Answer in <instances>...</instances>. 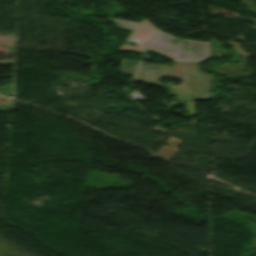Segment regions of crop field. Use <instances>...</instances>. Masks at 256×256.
Instances as JSON below:
<instances>
[{
	"label": "crop field",
	"instance_id": "7",
	"mask_svg": "<svg viewBox=\"0 0 256 256\" xmlns=\"http://www.w3.org/2000/svg\"><path fill=\"white\" fill-rule=\"evenodd\" d=\"M144 45H138L137 48H133L129 45H123L122 48L119 51H124V52H140L142 47Z\"/></svg>",
	"mask_w": 256,
	"mask_h": 256
},
{
	"label": "crop field",
	"instance_id": "4",
	"mask_svg": "<svg viewBox=\"0 0 256 256\" xmlns=\"http://www.w3.org/2000/svg\"><path fill=\"white\" fill-rule=\"evenodd\" d=\"M181 142L182 141L177 138H170L167 142V144H170L169 147L163 146L156 156L165 160L171 159L179 151L176 148Z\"/></svg>",
	"mask_w": 256,
	"mask_h": 256
},
{
	"label": "crop field",
	"instance_id": "6",
	"mask_svg": "<svg viewBox=\"0 0 256 256\" xmlns=\"http://www.w3.org/2000/svg\"><path fill=\"white\" fill-rule=\"evenodd\" d=\"M112 22L119 29L128 30V31H134L136 29V27L139 25L138 23L124 21V20L115 19V18H112Z\"/></svg>",
	"mask_w": 256,
	"mask_h": 256
},
{
	"label": "crop field",
	"instance_id": "8",
	"mask_svg": "<svg viewBox=\"0 0 256 256\" xmlns=\"http://www.w3.org/2000/svg\"><path fill=\"white\" fill-rule=\"evenodd\" d=\"M188 115H194V101H188Z\"/></svg>",
	"mask_w": 256,
	"mask_h": 256
},
{
	"label": "crop field",
	"instance_id": "1",
	"mask_svg": "<svg viewBox=\"0 0 256 256\" xmlns=\"http://www.w3.org/2000/svg\"><path fill=\"white\" fill-rule=\"evenodd\" d=\"M167 76L182 82V86L159 83L158 79ZM138 81L170 87V94L178 100L209 99V75L198 71V64L175 62L174 66L142 64Z\"/></svg>",
	"mask_w": 256,
	"mask_h": 256
},
{
	"label": "crop field",
	"instance_id": "9",
	"mask_svg": "<svg viewBox=\"0 0 256 256\" xmlns=\"http://www.w3.org/2000/svg\"><path fill=\"white\" fill-rule=\"evenodd\" d=\"M152 130H154V131H156V132H162V133H167V132H168V131H165V130H163V129H161V128H157V127H153Z\"/></svg>",
	"mask_w": 256,
	"mask_h": 256
},
{
	"label": "crop field",
	"instance_id": "2",
	"mask_svg": "<svg viewBox=\"0 0 256 256\" xmlns=\"http://www.w3.org/2000/svg\"><path fill=\"white\" fill-rule=\"evenodd\" d=\"M147 50L158 52L174 61L201 62L210 59L209 43L179 39L161 31Z\"/></svg>",
	"mask_w": 256,
	"mask_h": 256
},
{
	"label": "crop field",
	"instance_id": "5",
	"mask_svg": "<svg viewBox=\"0 0 256 256\" xmlns=\"http://www.w3.org/2000/svg\"><path fill=\"white\" fill-rule=\"evenodd\" d=\"M138 63L139 62L137 61H131V60H125V59H122L121 61L120 71L123 74L133 76L131 82H133Z\"/></svg>",
	"mask_w": 256,
	"mask_h": 256
},
{
	"label": "crop field",
	"instance_id": "3",
	"mask_svg": "<svg viewBox=\"0 0 256 256\" xmlns=\"http://www.w3.org/2000/svg\"><path fill=\"white\" fill-rule=\"evenodd\" d=\"M156 30L150 22L143 19L138 28L132 33L129 39L137 38L138 43H147L148 40L154 35Z\"/></svg>",
	"mask_w": 256,
	"mask_h": 256
}]
</instances>
